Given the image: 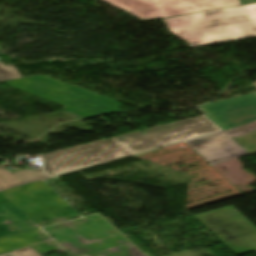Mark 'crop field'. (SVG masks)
Wrapping results in <instances>:
<instances>
[{"instance_id": "8a807250", "label": "crop field", "mask_w": 256, "mask_h": 256, "mask_svg": "<svg viewBox=\"0 0 256 256\" xmlns=\"http://www.w3.org/2000/svg\"><path fill=\"white\" fill-rule=\"evenodd\" d=\"M216 131L202 115L44 154L43 170L54 176Z\"/></svg>"}, {"instance_id": "ac0d7876", "label": "crop field", "mask_w": 256, "mask_h": 256, "mask_svg": "<svg viewBox=\"0 0 256 256\" xmlns=\"http://www.w3.org/2000/svg\"><path fill=\"white\" fill-rule=\"evenodd\" d=\"M222 132L185 141L210 165L249 155L231 137L256 131V93L199 107Z\"/></svg>"}, {"instance_id": "34b2d1b8", "label": "crop field", "mask_w": 256, "mask_h": 256, "mask_svg": "<svg viewBox=\"0 0 256 256\" xmlns=\"http://www.w3.org/2000/svg\"><path fill=\"white\" fill-rule=\"evenodd\" d=\"M190 48L256 37V4L164 18Z\"/></svg>"}, {"instance_id": "412701ff", "label": "crop field", "mask_w": 256, "mask_h": 256, "mask_svg": "<svg viewBox=\"0 0 256 256\" xmlns=\"http://www.w3.org/2000/svg\"><path fill=\"white\" fill-rule=\"evenodd\" d=\"M2 83L59 103L65 106V110L82 117H89L119 110V105L116 101L54 80L44 75L4 81Z\"/></svg>"}, {"instance_id": "f4fd0767", "label": "crop field", "mask_w": 256, "mask_h": 256, "mask_svg": "<svg viewBox=\"0 0 256 256\" xmlns=\"http://www.w3.org/2000/svg\"><path fill=\"white\" fill-rule=\"evenodd\" d=\"M126 11L144 22L212 10L256 3V0H103Z\"/></svg>"}, {"instance_id": "dd49c442", "label": "crop field", "mask_w": 256, "mask_h": 256, "mask_svg": "<svg viewBox=\"0 0 256 256\" xmlns=\"http://www.w3.org/2000/svg\"><path fill=\"white\" fill-rule=\"evenodd\" d=\"M194 217L236 254L256 250V229L233 206Z\"/></svg>"}, {"instance_id": "e52e79f7", "label": "crop field", "mask_w": 256, "mask_h": 256, "mask_svg": "<svg viewBox=\"0 0 256 256\" xmlns=\"http://www.w3.org/2000/svg\"><path fill=\"white\" fill-rule=\"evenodd\" d=\"M49 178L40 171L26 170L11 174L0 165V190L30 183L33 181Z\"/></svg>"}, {"instance_id": "d8731c3e", "label": "crop field", "mask_w": 256, "mask_h": 256, "mask_svg": "<svg viewBox=\"0 0 256 256\" xmlns=\"http://www.w3.org/2000/svg\"><path fill=\"white\" fill-rule=\"evenodd\" d=\"M19 78H21V76L18 74L13 65H2L0 63V81Z\"/></svg>"}, {"instance_id": "5a996713", "label": "crop field", "mask_w": 256, "mask_h": 256, "mask_svg": "<svg viewBox=\"0 0 256 256\" xmlns=\"http://www.w3.org/2000/svg\"><path fill=\"white\" fill-rule=\"evenodd\" d=\"M13 253L17 256H40L36 251H34L31 247L24 248L21 250L13 251Z\"/></svg>"}, {"instance_id": "3316defc", "label": "crop field", "mask_w": 256, "mask_h": 256, "mask_svg": "<svg viewBox=\"0 0 256 256\" xmlns=\"http://www.w3.org/2000/svg\"><path fill=\"white\" fill-rule=\"evenodd\" d=\"M0 256H15V255L12 252H10V253H6V254H2Z\"/></svg>"}, {"instance_id": "28ad6ade", "label": "crop field", "mask_w": 256, "mask_h": 256, "mask_svg": "<svg viewBox=\"0 0 256 256\" xmlns=\"http://www.w3.org/2000/svg\"><path fill=\"white\" fill-rule=\"evenodd\" d=\"M254 85H255V87H256V83H253Z\"/></svg>"}]
</instances>
